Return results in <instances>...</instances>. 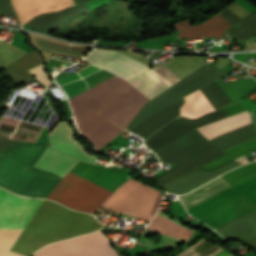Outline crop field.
Listing matches in <instances>:
<instances>
[{"label":"crop field","mask_w":256,"mask_h":256,"mask_svg":"<svg viewBox=\"0 0 256 256\" xmlns=\"http://www.w3.org/2000/svg\"><path fill=\"white\" fill-rule=\"evenodd\" d=\"M143 73L165 90L172 85L152 68ZM145 75L127 81L115 75L68 100L80 132L98 149L124 131L115 124L125 129L144 103L164 91Z\"/></svg>","instance_id":"obj_1"},{"label":"crop field","mask_w":256,"mask_h":256,"mask_svg":"<svg viewBox=\"0 0 256 256\" xmlns=\"http://www.w3.org/2000/svg\"><path fill=\"white\" fill-rule=\"evenodd\" d=\"M110 194L111 192L68 172L47 199L93 214ZM161 197L162 194L156 189L130 178L101 206L149 222Z\"/></svg>","instance_id":"obj_2"},{"label":"crop field","mask_w":256,"mask_h":256,"mask_svg":"<svg viewBox=\"0 0 256 256\" xmlns=\"http://www.w3.org/2000/svg\"><path fill=\"white\" fill-rule=\"evenodd\" d=\"M102 226L90 215L43 200L11 252L30 256L49 243L91 232Z\"/></svg>","instance_id":"obj_3"},{"label":"crop field","mask_w":256,"mask_h":256,"mask_svg":"<svg viewBox=\"0 0 256 256\" xmlns=\"http://www.w3.org/2000/svg\"><path fill=\"white\" fill-rule=\"evenodd\" d=\"M49 143L18 144L0 152V186L46 198L61 177L32 167Z\"/></svg>","instance_id":"obj_4"},{"label":"crop field","mask_w":256,"mask_h":256,"mask_svg":"<svg viewBox=\"0 0 256 256\" xmlns=\"http://www.w3.org/2000/svg\"><path fill=\"white\" fill-rule=\"evenodd\" d=\"M41 200L20 198L0 189V224L30 220ZM26 222L0 225V256H20L8 252Z\"/></svg>","instance_id":"obj_5"},{"label":"crop field","mask_w":256,"mask_h":256,"mask_svg":"<svg viewBox=\"0 0 256 256\" xmlns=\"http://www.w3.org/2000/svg\"><path fill=\"white\" fill-rule=\"evenodd\" d=\"M101 233L97 231L49 244L33 256H117L107 237Z\"/></svg>","instance_id":"obj_6"},{"label":"crop field","mask_w":256,"mask_h":256,"mask_svg":"<svg viewBox=\"0 0 256 256\" xmlns=\"http://www.w3.org/2000/svg\"><path fill=\"white\" fill-rule=\"evenodd\" d=\"M201 135L196 129L154 153L158 156L160 163L178 165L212 145Z\"/></svg>","instance_id":"obj_7"},{"label":"crop field","mask_w":256,"mask_h":256,"mask_svg":"<svg viewBox=\"0 0 256 256\" xmlns=\"http://www.w3.org/2000/svg\"><path fill=\"white\" fill-rule=\"evenodd\" d=\"M82 60L107 69L125 80L150 68L115 51L96 50L93 48Z\"/></svg>","instance_id":"obj_8"},{"label":"crop field","mask_w":256,"mask_h":256,"mask_svg":"<svg viewBox=\"0 0 256 256\" xmlns=\"http://www.w3.org/2000/svg\"><path fill=\"white\" fill-rule=\"evenodd\" d=\"M90 0H74V4L86 3ZM73 0H12L21 24L28 22L39 13L60 11L66 7L73 6Z\"/></svg>","instance_id":"obj_9"},{"label":"crop field","mask_w":256,"mask_h":256,"mask_svg":"<svg viewBox=\"0 0 256 256\" xmlns=\"http://www.w3.org/2000/svg\"><path fill=\"white\" fill-rule=\"evenodd\" d=\"M88 12H90V10L83 4L66 8L61 12L48 13L34 17L31 21L22 26H29L42 33L48 34Z\"/></svg>","instance_id":"obj_10"},{"label":"crop field","mask_w":256,"mask_h":256,"mask_svg":"<svg viewBox=\"0 0 256 256\" xmlns=\"http://www.w3.org/2000/svg\"><path fill=\"white\" fill-rule=\"evenodd\" d=\"M72 134L73 132L66 122H59V124L48 134L51 147L79 160L92 163L96 157L88 155L84 151L82 145L73 140Z\"/></svg>","instance_id":"obj_11"},{"label":"crop field","mask_w":256,"mask_h":256,"mask_svg":"<svg viewBox=\"0 0 256 256\" xmlns=\"http://www.w3.org/2000/svg\"><path fill=\"white\" fill-rule=\"evenodd\" d=\"M231 25L220 15H215L209 20L198 24L194 27L188 22V20L174 24L176 30H180L178 38L188 37V38H197V37H209L215 36L221 38L222 32Z\"/></svg>","instance_id":"obj_12"},{"label":"crop field","mask_w":256,"mask_h":256,"mask_svg":"<svg viewBox=\"0 0 256 256\" xmlns=\"http://www.w3.org/2000/svg\"><path fill=\"white\" fill-rule=\"evenodd\" d=\"M30 38V43L42 52L46 62H48L51 52L81 58L89 46L61 43L41 35L26 33Z\"/></svg>","instance_id":"obj_13"},{"label":"crop field","mask_w":256,"mask_h":256,"mask_svg":"<svg viewBox=\"0 0 256 256\" xmlns=\"http://www.w3.org/2000/svg\"><path fill=\"white\" fill-rule=\"evenodd\" d=\"M184 102L183 98L170 104L169 106L157 111L143 122L129 130L144 139L150 136L153 132L164 126L173 118L179 115V108Z\"/></svg>","instance_id":"obj_14"},{"label":"crop field","mask_w":256,"mask_h":256,"mask_svg":"<svg viewBox=\"0 0 256 256\" xmlns=\"http://www.w3.org/2000/svg\"><path fill=\"white\" fill-rule=\"evenodd\" d=\"M214 145V144H213ZM210 146L177 167L169 170L168 172L162 174L158 179L154 180L159 185L178 177L194 168H199L214 159L226 154L215 146Z\"/></svg>","instance_id":"obj_15"},{"label":"crop field","mask_w":256,"mask_h":256,"mask_svg":"<svg viewBox=\"0 0 256 256\" xmlns=\"http://www.w3.org/2000/svg\"><path fill=\"white\" fill-rule=\"evenodd\" d=\"M217 13L234 25L225 31L231 37L245 41L256 36V10L242 19L226 7Z\"/></svg>","instance_id":"obj_16"},{"label":"crop field","mask_w":256,"mask_h":256,"mask_svg":"<svg viewBox=\"0 0 256 256\" xmlns=\"http://www.w3.org/2000/svg\"><path fill=\"white\" fill-rule=\"evenodd\" d=\"M251 123L250 116L247 111L238 113L227 118L221 119L219 121L213 122L206 126L198 128L200 134H202L208 140L237 129L243 125Z\"/></svg>","instance_id":"obj_17"},{"label":"crop field","mask_w":256,"mask_h":256,"mask_svg":"<svg viewBox=\"0 0 256 256\" xmlns=\"http://www.w3.org/2000/svg\"><path fill=\"white\" fill-rule=\"evenodd\" d=\"M76 163L77 161L69 156L57 153L47 147L34 167L63 177Z\"/></svg>","instance_id":"obj_18"},{"label":"crop field","mask_w":256,"mask_h":256,"mask_svg":"<svg viewBox=\"0 0 256 256\" xmlns=\"http://www.w3.org/2000/svg\"><path fill=\"white\" fill-rule=\"evenodd\" d=\"M229 187L231 186L219 177L201 188L179 197V199L184 204L186 210H189Z\"/></svg>","instance_id":"obj_19"},{"label":"crop field","mask_w":256,"mask_h":256,"mask_svg":"<svg viewBox=\"0 0 256 256\" xmlns=\"http://www.w3.org/2000/svg\"><path fill=\"white\" fill-rule=\"evenodd\" d=\"M43 61L39 55L33 50L30 53L26 54L22 58L13 62L9 66L5 67L9 74L14 80L25 81L33 77L27 70L42 64ZM4 68V70H5ZM5 70L7 76L16 84L19 85L23 82L14 81L8 72Z\"/></svg>","instance_id":"obj_20"},{"label":"crop field","mask_w":256,"mask_h":256,"mask_svg":"<svg viewBox=\"0 0 256 256\" xmlns=\"http://www.w3.org/2000/svg\"><path fill=\"white\" fill-rule=\"evenodd\" d=\"M187 103L182 108V116L198 118L203 114L213 111L214 108L199 90L185 96Z\"/></svg>","instance_id":"obj_21"},{"label":"crop field","mask_w":256,"mask_h":256,"mask_svg":"<svg viewBox=\"0 0 256 256\" xmlns=\"http://www.w3.org/2000/svg\"><path fill=\"white\" fill-rule=\"evenodd\" d=\"M158 217V214H156V216L154 217V219L152 220V222L147 225V229L150 225H152L154 223V221L156 220V218ZM150 229H153V230H157V231H160V232H163V233H167V234H170V235H173V236H176V237H180V238H183L185 239L186 236L189 234L190 230L162 217L159 215V217L157 218V220L155 221V223L149 227ZM192 231L191 233L187 236V238L185 239V241L188 240V238L192 235ZM169 235V236H170ZM172 236V237H173ZM175 237V238H176ZM179 238V239H180ZM182 239V240H183Z\"/></svg>","instance_id":"obj_22"},{"label":"crop field","mask_w":256,"mask_h":256,"mask_svg":"<svg viewBox=\"0 0 256 256\" xmlns=\"http://www.w3.org/2000/svg\"><path fill=\"white\" fill-rule=\"evenodd\" d=\"M27 51L11 46L3 41H0V68L5 67L13 60L19 58Z\"/></svg>","instance_id":"obj_23"},{"label":"crop field","mask_w":256,"mask_h":256,"mask_svg":"<svg viewBox=\"0 0 256 256\" xmlns=\"http://www.w3.org/2000/svg\"><path fill=\"white\" fill-rule=\"evenodd\" d=\"M29 72L35 77L37 78L39 81H41L43 83V85H47L50 82V80L47 78V76L45 75L44 71H43V64L35 67L31 70H29Z\"/></svg>","instance_id":"obj_24"},{"label":"crop field","mask_w":256,"mask_h":256,"mask_svg":"<svg viewBox=\"0 0 256 256\" xmlns=\"http://www.w3.org/2000/svg\"><path fill=\"white\" fill-rule=\"evenodd\" d=\"M0 14L17 18L10 3V0H0Z\"/></svg>","instance_id":"obj_25"},{"label":"crop field","mask_w":256,"mask_h":256,"mask_svg":"<svg viewBox=\"0 0 256 256\" xmlns=\"http://www.w3.org/2000/svg\"><path fill=\"white\" fill-rule=\"evenodd\" d=\"M14 144H17V143L0 136V150L4 149L6 147L12 146Z\"/></svg>","instance_id":"obj_26"},{"label":"crop field","mask_w":256,"mask_h":256,"mask_svg":"<svg viewBox=\"0 0 256 256\" xmlns=\"http://www.w3.org/2000/svg\"><path fill=\"white\" fill-rule=\"evenodd\" d=\"M247 246L251 247L253 250L256 251V238L253 237L248 242L245 243Z\"/></svg>","instance_id":"obj_27"},{"label":"crop field","mask_w":256,"mask_h":256,"mask_svg":"<svg viewBox=\"0 0 256 256\" xmlns=\"http://www.w3.org/2000/svg\"><path fill=\"white\" fill-rule=\"evenodd\" d=\"M234 160H236V161H238V162H240V163H242V164L248 163V161L245 159L244 155H243V156H240V157H238V158H236V159H234Z\"/></svg>","instance_id":"obj_28"}]
</instances>
